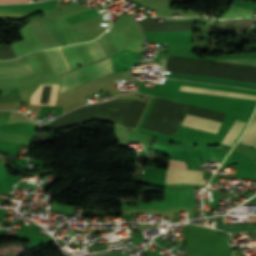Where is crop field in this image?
Here are the masks:
<instances>
[{
  "instance_id": "1",
  "label": "crop field",
  "mask_w": 256,
  "mask_h": 256,
  "mask_svg": "<svg viewBox=\"0 0 256 256\" xmlns=\"http://www.w3.org/2000/svg\"><path fill=\"white\" fill-rule=\"evenodd\" d=\"M110 65H111L110 59L108 58V59L98 62L96 64L78 69L76 71H73V72H70L67 74H64L62 77L61 84L65 83L67 81L73 80L75 78L81 77L83 75L89 74L91 72L97 71L99 69L105 68ZM112 72H113L112 67L110 66L105 69L99 70L97 72L91 73L89 75L83 76L81 78L75 79L73 81L67 82V83L61 85L59 93L62 91L68 90L70 88L76 87L78 85H81L83 83L89 82L91 80H94L96 78L102 77L104 75L110 74Z\"/></svg>"
},
{
  "instance_id": "2",
  "label": "crop field",
  "mask_w": 256,
  "mask_h": 256,
  "mask_svg": "<svg viewBox=\"0 0 256 256\" xmlns=\"http://www.w3.org/2000/svg\"><path fill=\"white\" fill-rule=\"evenodd\" d=\"M179 90L194 91V92H201V93L216 94V95H223V96H231V97H239V98H247V99H255L256 100V95L224 92V91L193 88V87H185V86H181ZM176 97L187 98V99H195V100H203V101H211V102H219V103H222L223 100H224V99H221V98H213V97H205V96H197V95H189V94H181V93H178ZM179 98H175V101L194 104V105H198V106H202V107L216 108V109H219L220 106H221V104H219V103H211V102H203V101H195V100H187V99H179Z\"/></svg>"
},
{
  "instance_id": "3",
  "label": "crop field",
  "mask_w": 256,
  "mask_h": 256,
  "mask_svg": "<svg viewBox=\"0 0 256 256\" xmlns=\"http://www.w3.org/2000/svg\"><path fill=\"white\" fill-rule=\"evenodd\" d=\"M201 174L202 171L186 170L185 162L169 160L165 183H194L204 185L206 180L201 179Z\"/></svg>"
},
{
  "instance_id": "4",
  "label": "crop field",
  "mask_w": 256,
  "mask_h": 256,
  "mask_svg": "<svg viewBox=\"0 0 256 256\" xmlns=\"http://www.w3.org/2000/svg\"><path fill=\"white\" fill-rule=\"evenodd\" d=\"M59 0L35 3L0 5V11H54Z\"/></svg>"
},
{
  "instance_id": "5",
  "label": "crop field",
  "mask_w": 256,
  "mask_h": 256,
  "mask_svg": "<svg viewBox=\"0 0 256 256\" xmlns=\"http://www.w3.org/2000/svg\"><path fill=\"white\" fill-rule=\"evenodd\" d=\"M44 52L54 71L61 73L70 70L60 48L50 49Z\"/></svg>"
},
{
  "instance_id": "6",
  "label": "crop field",
  "mask_w": 256,
  "mask_h": 256,
  "mask_svg": "<svg viewBox=\"0 0 256 256\" xmlns=\"http://www.w3.org/2000/svg\"><path fill=\"white\" fill-rule=\"evenodd\" d=\"M182 124L216 133L221 123L187 115Z\"/></svg>"
},
{
  "instance_id": "7",
  "label": "crop field",
  "mask_w": 256,
  "mask_h": 256,
  "mask_svg": "<svg viewBox=\"0 0 256 256\" xmlns=\"http://www.w3.org/2000/svg\"><path fill=\"white\" fill-rule=\"evenodd\" d=\"M33 72L29 63L0 68V77H14Z\"/></svg>"
},
{
  "instance_id": "8",
  "label": "crop field",
  "mask_w": 256,
  "mask_h": 256,
  "mask_svg": "<svg viewBox=\"0 0 256 256\" xmlns=\"http://www.w3.org/2000/svg\"><path fill=\"white\" fill-rule=\"evenodd\" d=\"M245 124L246 121L236 119V121L234 122L233 126L225 136L222 143L232 146V144L234 143L235 139L237 138Z\"/></svg>"
},
{
  "instance_id": "9",
  "label": "crop field",
  "mask_w": 256,
  "mask_h": 256,
  "mask_svg": "<svg viewBox=\"0 0 256 256\" xmlns=\"http://www.w3.org/2000/svg\"><path fill=\"white\" fill-rule=\"evenodd\" d=\"M240 143L256 147V116L252 120L246 134L240 140Z\"/></svg>"
},
{
  "instance_id": "10",
  "label": "crop field",
  "mask_w": 256,
  "mask_h": 256,
  "mask_svg": "<svg viewBox=\"0 0 256 256\" xmlns=\"http://www.w3.org/2000/svg\"><path fill=\"white\" fill-rule=\"evenodd\" d=\"M93 62L97 61V60H100L102 58H104V55L97 43V41H91V42H86L84 43Z\"/></svg>"
},
{
  "instance_id": "11",
  "label": "crop field",
  "mask_w": 256,
  "mask_h": 256,
  "mask_svg": "<svg viewBox=\"0 0 256 256\" xmlns=\"http://www.w3.org/2000/svg\"><path fill=\"white\" fill-rule=\"evenodd\" d=\"M167 61H168V59L160 58V62L167 63ZM224 63H231V64H239V65H246V66L256 67V60H254V59H246V60L231 61V62H224Z\"/></svg>"
},
{
  "instance_id": "12",
  "label": "crop field",
  "mask_w": 256,
  "mask_h": 256,
  "mask_svg": "<svg viewBox=\"0 0 256 256\" xmlns=\"http://www.w3.org/2000/svg\"><path fill=\"white\" fill-rule=\"evenodd\" d=\"M28 0H0V3H24Z\"/></svg>"
},
{
  "instance_id": "13",
  "label": "crop field",
  "mask_w": 256,
  "mask_h": 256,
  "mask_svg": "<svg viewBox=\"0 0 256 256\" xmlns=\"http://www.w3.org/2000/svg\"><path fill=\"white\" fill-rule=\"evenodd\" d=\"M250 222L256 223V216L249 217Z\"/></svg>"
}]
</instances>
